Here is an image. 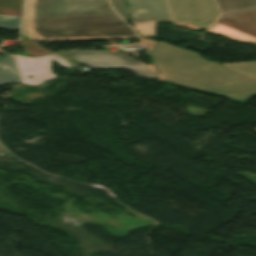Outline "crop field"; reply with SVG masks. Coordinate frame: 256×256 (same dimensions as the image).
Wrapping results in <instances>:
<instances>
[{
    "instance_id": "obj_1",
    "label": "crop field",
    "mask_w": 256,
    "mask_h": 256,
    "mask_svg": "<svg viewBox=\"0 0 256 256\" xmlns=\"http://www.w3.org/2000/svg\"><path fill=\"white\" fill-rule=\"evenodd\" d=\"M25 33L40 41L139 38L107 0H27Z\"/></svg>"
},
{
    "instance_id": "obj_2",
    "label": "crop field",
    "mask_w": 256,
    "mask_h": 256,
    "mask_svg": "<svg viewBox=\"0 0 256 256\" xmlns=\"http://www.w3.org/2000/svg\"><path fill=\"white\" fill-rule=\"evenodd\" d=\"M146 55L164 82L245 104L256 96V82L185 49L157 42Z\"/></svg>"
},
{
    "instance_id": "obj_3",
    "label": "crop field",
    "mask_w": 256,
    "mask_h": 256,
    "mask_svg": "<svg viewBox=\"0 0 256 256\" xmlns=\"http://www.w3.org/2000/svg\"><path fill=\"white\" fill-rule=\"evenodd\" d=\"M134 27L156 37L155 24L169 22L193 30L206 29L218 18L213 0H127Z\"/></svg>"
},
{
    "instance_id": "obj_4",
    "label": "crop field",
    "mask_w": 256,
    "mask_h": 256,
    "mask_svg": "<svg viewBox=\"0 0 256 256\" xmlns=\"http://www.w3.org/2000/svg\"><path fill=\"white\" fill-rule=\"evenodd\" d=\"M65 53L91 70L124 69L139 76L157 80V74L122 53L109 54L103 51H66Z\"/></svg>"
},
{
    "instance_id": "obj_5",
    "label": "crop field",
    "mask_w": 256,
    "mask_h": 256,
    "mask_svg": "<svg viewBox=\"0 0 256 256\" xmlns=\"http://www.w3.org/2000/svg\"><path fill=\"white\" fill-rule=\"evenodd\" d=\"M207 32L239 42L256 43V8L223 16Z\"/></svg>"
},
{
    "instance_id": "obj_6",
    "label": "crop field",
    "mask_w": 256,
    "mask_h": 256,
    "mask_svg": "<svg viewBox=\"0 0 256 256\" xmlns=\"http://www.w3.org/2000/svg\"><path fill=\"white\" fill-rule=\"evenodd\" d=\"M21 76V83L37 86L38 84L57 78V75L51 71V59L62 65L66 69L72 66L59 59L55 55H47L38 58H27L26 56L13 55ZM33 76V79H29Z\"/></svg>"
},
{
    "instance_id": "obj_7",
    "label": "crop field",
    "mask_w": 256,
    "mask_h": 256,
    "mask_svg": "<svg viewBox=\"0 0 256 256\" xmlns=\"http://www.w3.org/2000/svg\"><path fill=\"white\" fill-rule=\"evenodd\" d=\"M18 82L11 56L0 57V86Z\"/></svg>"
},
{
    "instance_id": "obj_8",
    "label": "crop field",
    "mask_w": 256,
    "mask_h": 256,
    "mask_svg": "<svg viewBox=\"0 0 256 256\" xmlns=\"http://www.w3.org/2000/svg\"><path fill=\"white\" fill-rule=\"evenodd\" d=\"M221 15L256 7V0H216Z\"/></svg>"
},
{
    "instance_id": "obj_9",
    "label": "crop field",
    "mask_w": 256,
    "mask_h": 256,
    "mask_svg": "<svg viewBox=\"0 0 256 256\" xmlns=\"http://www.w3.org/2000/svg\"><path fill=\"white\" fill-rule=\"evenodd\" d=\"M20 46L26 51L29 57H38L46 54H50L45 48L31 40L26 35L21 36Z\"/></svg>"
},
{
    "instance_id": "obj_10",
    "label": "crop field",
    "mask_w": 256,
    "mask_h": 256,
    "mask_svg": "<svg viewBox=\"0 0 256 256\" xmlns=\"http://www.w3.org/2000/svg\"><path fill=\"white\" fill-rule=\"evenodd\" d=\"M23 0H0V15L21 16Z\"/></svg>"
},
{
    "instance_id": "obj_11",
    "label": "crop field",
    "mask_w": 256,
    "mask_h": 256,
    "mask_svg": "<svg viewBox=\"0 0 256 256\" xmlns=\"http://www.w3.org/2000/svg\"><path fill=\"white\" fill-rule=\"evenodd\" d=\"M226 68L240 73L244 76L250 77L256 80V62L255 63H231L222 64Z\"/></svg>"
},
{
    "instance_id": "obj_12",
    "label": "crop field",
    "mask_w": 256,
    "mask_h": 256,
    "mask_svg": "<svg viewBox=\"0 0 256 256\" xmlns=\"http://www.w3.org/2000/svg\"><path fill=\"white\" fill-rule=\"evenodd\" d=\"M21 19L0 17V28L7 30H19Z\"/></svg>"
},
{
    "instance_id": "obj_13",
    "label": "crop field",
    "mask_w": 256,
    "mask_h": 256,
    "mask_svg": "<svg viewBox=\"0 0 256 256\" xmlns=\"http://www.w3.org/2000/svg\"><path fill=\"white\" fill-rule=\"evenodd\" d=\"M113 7L128 22L129 17L126 10L125 0H111Z\"/></svg>"
},
{
    "instance_id": "obj_14",
    "label": "crop field",
    "mask_w": 256,
    "mask_h": 256,
    "mask_svg": "<svg viewBox=\"0 0 256 256\" xmlns=\"http://www.w3.org/2000/svg\"><path fill=\"white\" fill-rule=\"evenodd\" d=\"M157 41H154V42H150V43H145L143 45L146 46V50L149 51L153 46L154 44L156 43Z\"/></svg>"
},
{
    "instance_id": "obj_15",
    "label": "crop field",
    "mask_w": 256,
    "mask_h": 256,
    "mask_svg": "<svg viewBox=\"0 0 256 256\" xmlns=\"http://www.w3.org/2000/svg\"><path fill=\"white\" fill-rule=\"evenodd\" d=\"M148 67L155 71L153 65H150V66H148ZM155 72H156V71H155Z\"/></svg>"
},
{
    "instance_id": "obj_16",
    "label": "crop field",
    "mask_w": 256,
    "mask_h": 256,
    "mask_svg": "<svg viewBox=\"0 0 256 256\" xmlns=\"http://www.w3.org/2000/svg\"><path fill=\"white\" fill-rule=\"evenodd\" d=\"M147 40H150V39H145V38H142V41H147Z\"/></svg>"
},
{
    "instance_id": "obj_17",
    "label": "crop field",
    "mask_w": 256,
    "mask_h": 256,
    "mask_svg": "<svg viewBox=\"0 0 256 256\" xmlns=\"http://www.w3.org/2000/svg\"><path fill=\"white\" fill-rule=\"evenodd\" d=\"M254 130H256V129H254Z\"/></svg>"
}]
</instances>
